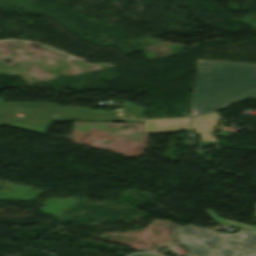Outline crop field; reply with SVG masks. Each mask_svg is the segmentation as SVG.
Here are the masks:
<instances>
[{"label":"crop field","mask_w":256,"mask_h":256,"mask_svg":"<svg viewBox=\"0 0 256 256\" xmlns=\"http://www.w3.org/2000/svg\"><path fill=\"white\" fill-rule=\"evenodd\" d=\"M256 99V64L198 60L190 116Z\"/></svg>","instance_id":"1"},{"label":"crop field","mask_w":256,"mask_h":256,"mask_svg":"<svg viewBox=\"0 0 256 256\" xmlns=\"http://www.w3.org/2000/svg\"><path fill=\"white\" fill-rule=\"evenodd\" d=\"M174 231L182 237L179 243L189 251L185 256H256L255 234L243 231L225 234L190 224L178 226ZM207 243L215 248L210 249Z\"/></svg>","instance_id":"2"},{"label":"crop field","mask_w":256,"mask_h":256,"mask_svg":"<svg viewBox=\"0 0 256 256\" xmlns=\"http://www.w3.org/2000/svg\"><path fill=\"white\" fill-rule=\"evenodd\" d=\"M206 212L215 219L216 223L231 224L233 226L238 227V229H242V230H246V231L256 233V227H251V226L243 225V224H240V223L232 222V221H229V220L221 219L215 213H213L211 210H207Z\"/></svg>","instance_id":"3"},{"label":"crop field","mask_w":256,"mask_h":256,"mask_svg":"<svg viewBox=\"0 0 256 256\" xmlns=\"http://www.w3.org/2000/svg\"><path fill=\"white\" fill-rule=\"evenodd\" d=\"M130 256H155V255H148V254H136V255H130Z\"/></svg>","instance_id":"4"}]
</instances>
